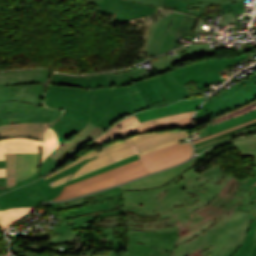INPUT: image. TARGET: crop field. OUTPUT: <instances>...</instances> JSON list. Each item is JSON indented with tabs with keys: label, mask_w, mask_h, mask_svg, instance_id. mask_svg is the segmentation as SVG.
Instances as JSON below:
<instances>
[{
	"label": "crop field",
	"mask_w": 256,
	"mask_h": 256,
	"mask_svg": "<svg viewBox=\"0 0 256 256\" xmlns=\"http://www.w3.org/2000/svg\"><path fill=\"white\" fill-rule=\"evenodd\" d=\"M221 167L216 161L198 174L193 166L160 188L123 192L129 234L178 230L172 256H232L256 218L249 178L240 182Z\"/></svg>",
	"instance_id": "crop-field-1"
},
{
	"label": "crop field",
	"mask_w": 256,
	"mask_h": 256,
	"mask_svg": "<svg viewBox=\"0 0 256 256\" xmlns=\"http://www.w3.org/2000/svg\"><path fill=\"white\" fill-rule=\"evenodd\" d=\"M51 78L44 96L46 106L76 108L91 116L83 130L49 155L60 164L115 122L136 111L127 86L85 90L51 85Z\"/></svg>",
	"instance_id": "crop-field-2"
},
{
	"label": "crop field",
	"mask_w": 256,
	"mask_h": 256,
	"mask_svg": "<svg viewBox=\"0 0 256 256\" xmlns=\"http://www.w3.org/2000/svg\"><path fill=\"white\" fill-rule=\"evenodd\" d=\"M49 70L0 73V113L61 114L44 107L42 96Z\"/></svg>",
	"instance_id": "crop-field-3"
},
{
	"label": "crop field",
	"mask_w": 256,
	"mask_h": 256,
	"mask_svg": "<svg viewBox=\"0 0 256 256\" xmlns=\"http://www.w3.org/2000/svg\"><path fill=\"white\" fill-rule=\"evenodd\" d=\"M188 137V130L175 132H160V133H146L141 135L131 136L127 139L116 141L106 146L100 147L96 150L90 151L67 166L57 170L56 172L44 177L47 178L57 172H60L73 164L95 155L98 157L86 163L71 179L86 174L95 169L101 168L126 156L136 154H145L165 146L178 142L177 139ZM70 179V180H71Z\"/></svg>",
	"instance_id": "crop-field-4"
},
{
	"label": "crop field",
	"mask_w": 256,
	"mask_h": 256,
	"mask_svg": "<svg viewBox=\"0 0 256 256\" xmlns=\"http://www.w3.org/2000/svg\"><path fill=\"white\" fill-rule=\"evenodd\" d=\"M145 174H149V171L143 165L140 159H138L133 162L116 167L103 174L91 177L89 179L71 185H67L65 186L61 195L56 197L54 200H64L91 191L107 188Z\"/></svg>",
	"instance_id": "crop-field-5"
},
{
	"label": "crop field",
	"mask_w": 256,
	"mask_h": 256,
	"mask_svg": "<svg viewBox=\"0 0 256 256\" xmlns=\"http://www.w3.org/2000/svg\"><path fill=\"white\" fill-rule=\"evenodd\" d=\"M249 57L246 53L223 59H207L192 65L183 66L169 71L179 85L194 81L199 90L216 82L226 80L217 72Z\"/></svg>",
	"instance_id": "crop-field-6"
},
{
	"label": "crop field",
	"mask_w": 256,
	"mask_h": 256,
	"mask_svg": "<svg viewBox=\"0 0 256 256\" xmlns=\"http://www.w3.org/2000/svg\"><path fill=\"white\" fill-rule=\"evenodd\" d=\"M177 231L167 233L138 232L130 234L127 256H170Z\"/></svg>",
	"instance_id": "crop-field-7"
},
{
	"label": "crop field",
	"mask_w": 256,
	"mask_h": 256,
	"mask_svg": "<svg viewBox=\"0 0 256 256\" xmlns=\"http://www.w3.org/2000/svg\"><path fill=\"white\" fill-rule=\"evenodd\" d=\"M193 150L190 143L179 145L173 144L163 149L141 155V161L150 173L166 167L182 163L190 158Z\"/></svg>",
	"instance_id": "crop-field-8"
},
{
	"label": "crop field",
	"mask_w": 256,
	"mask_h": 256,
	"mask_svg": "<svg viewBox=\"0 0 256 256\" xmlns=\"http://www.w3.org/2000/svg\"><path fill=\"white\" fill-rule=\"evenodd\" d=\"M97 5L98 10L105 14H115L113 21L135 19L153 14L157 8L148 7L126 0H88Z\"/></svg>",
	"instance_id": "crop-field-9"
},
{
	"label": "crop field",
	"mask_w": 256,
	"mask_h": 256,
	"mask_svg": "<svg viewBox=\"0 0 256 256\" xmlns=\"http://www.w3.org/2000/svg\"><path fill=\"white\" fill-rule=\"evenodd\" d=\"M43 201H47V198L34 182L0 195V210H6L10 207H35Z\"/></svg>",
	"instance_id": "crop-field-10"
},
{
	"label": "crop field",
	"mask_w": 256,
	"mask_h": 256,
	"mask_svg": "<svg viewBox=\"0 0 256 256\" xmlns=\"http://www.w3.org/2000/svg\"><path fill=\"white\" fill-rule=\"evenodd\" d=\"M5 153L10 152H38V146L42 147L41 164L44 159L59 146L55 132L49 128L44 142L28 140L23 138H11L1 140Z\"/></svg>",
	"instance_id": "crop-field-11"
},
{
	"label": "crop field",
	"mask_w": 256,
	"mask_h": 256,
	"mask_svg": "<svg viewBox=\"0 0 256 256\" xmlns=\"http://www.w3.org/2000/svg\"><path fill=\"white\" fill-rule=\"evenodd\" d=\"M194 112H188V113H182V114H176L171 115L147 122L140 123L138 119L135 117V115H132L125 120L117 123L112 128H110L108 131L103 133L101 136H99L97 139H95L93 142L97 144L105 143L113 138L120 137L124 134L130 133L132 131L144 128L148 125L164 122V121H171V120H177L185 117L192 116Z\"/></svg>",
	"instance_id": "crop-field-12"
},
{
	"label": "crop field",
	"mask_w": 256,
	"mask_h": 256,
	"mask_svg": "<svg viewBox=\"0 0 256 256\" xmlns=\"http://www.w3.org/2000/svg\"><path fill=\"white\" fill-rule=\"evenodd\" d=\"M63 115L51 127L57 134L60 144L85 127L89 115L76 109L64 108Z\"/></svg>",
	"instance_id": "crop-field-13"
},
{
	"label": "crop field",
	"mask_w": 256,
	"mask_h": 256,
	"mask_svg": "<svg viewBox=\"0 0 256 256\" xmlns=\"http://www.w3.org/2000/svg\"><path fill=\"white\" fill-rule=\"evenodd\" d=\"M193 166V160L178 166L158 173L156 175L139 179L135 182L122 185L123 191L139 190V189H154L177 177L179 174Z\"/></svg>",
	"instance_id": "crop-field-14"
},
{
	"label": "crop field",
	"mask_w": 256,
	"mask_h": 256,
	"mask_svg": "<svg viewBox=\"0 0 256 256\" xmlns=\"http://www.w3.org/2000/svg\"><path fill=\"white\" fill-rule=\"evenodd\" d=\"M135 85L149 109L169 104L162 95L167 92V89L156 75L147 80L136 82Z\"/></svg>",
	"instance_id": "crop-field-15"
},
{
	"label": "crop field",
	"mask_w": 256,
	"mask_h": 256,
	"mask_svg": "<svg viewBox=\"0 0 256 256\" xmlns=\"http://www.w3.org/2000/svg\"><path fill=\"white\" fill-rule=\"evenodd\" d=\"M254 99H256V85L243 91L237 96L219 104L211 111L194 120L193 127L199 123L215 118L221 114L230 112Z\"/></svg>",
	"instance_id": "crop-field-16"
},
{
	"label": "crop field",
	"mask_w": 256,
	"mask_h": 256,
	"mask_svg": "<svg viewBox=\"0 0 256 256\" xmlns=\"http://www.w3.org/2000/svg\"><path fill=\"white\" fill-rule=\"evenodd\" d=\"M206 97L193 99V100H182L180 102H177L168 106L137 113L135 115L140 120V122H142V121H146V120H150V119H154V118H158V117H162L170 114L194 111Z\"/></svg>",
	"instance_id": "crop-field-17"
},
{
	"label": "crop field",
	"mask_w": 256,
	"mask_h": 256,
	"mask_svg": "<svg viewBox=\"0 0 256 256\" xmlns=\"http://www.w3.org/2000/svg\"><path fill=\"white\" fill-rule=\"evenodd\" d=\"M52 123H14L0 126V137L21 135L43 139Z\"/></svg>",
	"instance_id": "crop-field-18"
},
{
	"label": "crop field",
	"mask_w": 256,
	"mask_h": 256,
	"mask_svg": "<svg viewBox=\"0 0 256 256\" xmlns=\"http://www.w3.org/2000/svg\"><path fill=\"white\" fill-rule=\"evenodd\" d=\"M52 84L85 88V89L110 87L107 74L101 75V76L84 77V78H76V77H69V76H54L52 78Z\"/></svg>",
	"instance_id": "crop-field-19"
},
{
	"label": "crop field",
	"mask_w": 256,
	"mask_h": 256,
	"mask_svg": "<svg viewBox=\"0 0 256 256\" xmlns=\"http://www.w3.org/2000/svg\"><path fill=\"white\" fill-rule=\"evenodd\" d=\"M240 156H255L256 159V136L235 139L232 141ZM254 177L250 178L251 200L253 212L256 216V166L253 170Z\"/></svg>",
	"instance_id": "crop-field-20"
},
{
	"label": "crop field",
	"mask_w": 256,
	"mask_h": 256,
	"mask_svg": "<svg viewBox=\"0 0 256 256\" xmlns=\"http://www.w3.org/2000/svg\"><path fill=\"white\" fill-rule=\"evenodd\" d=\"M256 84V73L246 80L238 83L237 85L225 90L224 92L220 93L219 95L215 96L214 98L208 100L201 110L198 112L196 118L201 116L202 114L206 113L208 110L215 107L217 104L235 96L236 94L242 92L243 90L251 87L252 85Z\"/></svg>",
	"instance_id": "crop-field-21"
},
{
	"label": "crop field",
	"mask_w": 256,
	"mask_h": 256,
	"mask_svg": "<svg viewBox=\"0 0 256 256\" xmlns=\"http://www.w3.org/2000/svg\"><path fill=\"white\" fill-rule=\"evenodd\" d=\"M38 159L39 153H16V182L37 173Z\"/></svg>",
	"instance_id": "crop-field-22"
},
{
	"label": "crop field",
	"mask_w": 256,
	"mask_h": 256,
	"mask_svg": "<svg viewBox=\"0 0 256 256\" xmlns=\"http://www.w3.org/2000/svg\"><path fill=\"white\" fill-rule=\"evenodd\" d=\"M178 55L170 58L164 59L163 57L150 62L153 69L157 72V74L167 72L171 70L170 67L176 61L199 56L193 45L186 46L180 49L175 50Z\"/></svg>",
	"instance_id": "crop-field-23"
},
{
	"label": "crop field",
	"mask_w": 256,
	"mask_h": 256,
	"mask_svg": "<svg viewBox=\"0 0 256 256\" xmlns=\"http://www.w3.org/2000/svg\"><path fill=\"white\" fill-rule=\"evenodd\" d=\"M122 207L123 205H122V198H121L118 200H111L107 202L85 206L83 208L68 211V212H62L60 213V215L62 216L63 219H65V218L78 217V216H83V215L92 214V213L105 212V211L118 209Z\"/></svg>",
	"instance_id": "crop-field-24"
},
{
	"label": "crop field",
	"mask_w": 256,
	"mask_h": 256,
	"mask_svg": "<svg viewBox=\"0 0 256 256\" xmlns=\"http://www.w3.org/2000/svg\"><path fill=\"white\" fill-rule=\"evenodd\" d=\"M120 195H122L121 188L117 187L114 189H110V190H107V191H104L101 193H97V194H93L90 196H86L83 198H79V199H75V200H71V201H67V202H62V203H47L45 205H47L55 210H59V209H63V208L79 206L81 204H84V203L90 202V201L102 200L105 198H111V197L120 196Z\"/></svg>",
	"instance_id": "crop-field-25"
},
{
	"label": "crop field",
	"mask_w": 256,
	"mask_h": 256,
	"mask_svg": "<svg viewBox=\"0 0 256 256\" xmlns=\"http://www.w3.org/2000/svg\"><path fill=\"white\" fill-rule=\"evenodd\" d=\"M59 115H32L22 113L0 114V125L13 122H54Z\"/></svg>",
	"instance_id": "crop-field-26"
},
{
	"label": "crop field",
	"mask_w": 256,
	"mask_h": 256,
	"mask_svg": "<svg viewBox=\"0 0 256 256\" xmlns=\"http://www.w3.org/2000/svg\"><path fill=\"white\" fill-rule=\"evenodd\" d=\"M158 77L169 91L168 93L164 94L169 103L181 100L189 95L185 86H179L169 72L160 74Z\"/></svg>",
	"instance_id": "crop-field-27"
},
{
	"label": "crop field",
	"mask_w": 256,
	"mask_h": 256,
	"mask_svg": "<svg viewBox=\"0 0 256 256\" xmlns=\"http://www.w3.org/2000/svg\"><path fill=\"white\" fill-rule=\"evenodd\" d=\"M112 86H123L135 83V81L147 79L150 74L145 68L118 74H109Z\"/></svg>",
	"instance_id": "crop-field-28"
},
{
	"label": "crop field",
	"mask_w": 256,
	"mask_h": 256,
	"mask_svg": "<svg viewBox=\"0 0 256 256\" xmlns=\"http://www.w3.org/2000/svg\"><path fill=\"white\" fill-rule=\"evenodd\" d=\"M172 15L180 16V17L183 16V14L174 13V14H171L169 16H166V17L160 19V21H159V23H158V25L155 29V32H154L153 38L151 40V43L149 45V48L147 50L148 56L149 55H153V56L156 55L157 50H158V48H159V46L162 42V39L164 37L165 30H166L167 26L170 23Z\"/></svg>",
	"instance_id": "crop-field-29"
},
{
	"label": "crop field",
	"mask_w": 256,
	"mask_h": 256,
	"mask_svg": "<svg viewBox=\"0 0 256 256\" xmlns=\"http://www.w3.org/2000/svg\"><path fill=\"white\" fill-rule=\"evenodd\" d=\"M33 208H10L6 211H0L1 230L6 229L13 223L26 216Z\"/></svg>",
	"instance_id": "crop-field-30"
},
{
	"label": "crop field",
	"mask_w": 256,
	"mask_h": 256,
	"mask_svg": "<svg viewBox=\"0 0 256 256\" xmlns=\"http://www.w3.org/2000/svg\"><path fill=\"white\" fill-rule=\"evenodd\" d=\"M190 122H191V117L185 118L182 120H178V121L165 122V123H161V124L148 126L144 129L127 134V136L140 134V133H146V132H152V131H157V130H164L167 128H178V127L190 126Z\"/></svg>",
	"instance_id": "crop-field-31"
},
{
	"label": "crop field",
	"mask_w": 256,
	"mask_h": 256,
	"mask_svg": "<svg viewBox=\"0 0 256 256\" xmlns=\"http://www.w3.org/2000/svg\"><path fill=\"white\" fill-rule=\"evenodd\" d=\"M256 118V110L251 111L247 114L240 115L223 122L217 123L216 126L220 129V131L237 126L239 124L245 123L247 121L253 120Z\"/></svg>",
	"instance_id": "crop-field-32"
},
{
	"label": "crop field",
	"mask_w": 256,
	"mask_h": 256,
	"mask_svg": "<svg viewBox=\"0 0 256 256\" xmlns=\"http://www.w3.org/2000/svg\"><path fill=\"white\" fill-rule=\"evenodd\" d=\"M256 232V221H253L249 229V234L243 245L234 253L233 256H249L254 244V236Z\"/></svg>",
	"instance_id": "crop-field-33"
},
{
	"label": "crop field",
	"mask_w": 256,
	"mask_h": 256,
	"mask_svg": "<svg viewBox=\"0 0 256 256\" xmlns=\"http://www.w3.org/2000/svg\"><path fill=\"white\" fill-rule=\"evenodd\" d=\"M138 158H139V155H138V154L133 155V156L126 157V158H124V159H122V160H119V161H117V162H115V163H112V164H110V165H108V166H105V167H103V168H101V169H98V170H96V171L90 172V173H88V174H86V175H83V176H81V177H78V178H76V179H74V180H71V181H69L67 184L74 183V182H77V181L86 179V178H88V177H91V176H94V175L103 173V172H105V171H107V170H109V169H112V168H114V167H116V166H119V165H122V164H124V163L133 161V160L138 159Z\"/></svg>",
	"instance_id": "crop-field-34"
},
{
	"label": "crop field",
	"mask_w": 256,
	"mask_h": 256,
	"mask_svg": "<svg viewBox=\"0 0 256 256\" xmlns=\"http://www.w3.org/2000/svg\"><path fill=\"white\" fill-rule=\"evenodd\" d=\"M7 187L15 185V153L5 154Z\"/></svg>",
	"instance_id": "crop-field-35"
},
{
	"label": "crop field",
	"mask_w": 256,
	"mask_h": 256,
	"mask_svg": "<svg viewBox=\"0 0 256 256\" xmlns=\"http://www.w3.org/2000/svg\"><path fill=\"white\" fill-rule=\"evenodd\" d=\"M164 7L177 8L176 11L193 14L195 9H187V0H164Z\"/></svg>",
	"instance_id": "crop-field-36"
},
{
	"label": "crop field",
	"mask_w": 256,
	"mask_h": 256,
	"mask_svg": "<svg viewBox=\"0 0 256 256\" xmlns=\"http://www.w3.org/2000/svg\"><path fill=\"white\" fill-rule=\"evenodd\" d=\"M36 182L39 185V187L41 188V190L44 192V194L46 195L48 200H51L52 198L57 196V194L59 193V191L62 189V187L65 184L64 183L62 185L52 188L43 178H41L40 180H38Z\"/></svg>",
	"instance_id": "crop-field-37"
},
{
	"label": "crop field",
	"mask_w": 256,
	"mask_h": 256,
	"mask_svg": "<svg viewBox=\"0 0 256 256\" xmlns=\"http://www.w3.org/2000/svg\"><path fill=\"white\" fill-rule=\"evenodd\" d=\"M96 157H97V156H96ZM94 158H95V157H94ZM92 159H93V158H92ZM90 160H91V159H90ZM90 160L86 159V160H84V161H81V162L75 164L74 166H72V167H70V168H68V169H66V170H64V171H62V172H60V173H58V174H56V175H54V176L48 178V179H46V181H47L48 183H50V182H52V181H54V180H56V179H58V178L64 177V176L69 175V174H71V173H73V172L76 173L86 162H88V161H90Z\"/></svg>",
	"instance_id": "crop-field-38"
},
{
	"label": "crop field",
	"mask_w": 256,
	"mask_h": 256,
	"mask_svg": "<svg viewBox=\"0 0 256 256\" xmlns=\"http://www.w3.org/2000/svg\"><path fill=\"white\" fill-rule=\"evenodd\" d=\"M219 11L232 14L244 13V1L221 5Z\"/></svg>",
	"instance_id": "crop-field-39"
},
{
	"label": "crop field",
	"mask_w": 256,
	"mask_h": 256,
	"mask_svg": "<svg viewBox=\"0 0 256 256\" xmlns=\"http://www.w3.org/2000/svg\"><path fill=\"white\" fill-rule=\"evenodd\" d=\"M41 176L38 175V173L30 178H28L27 180L23 181V182H19V183H16V186L14 187H10V188H2L0 189V194H2L3 192H7V191H10L12 190V188H17V187H21V185H26V184H29L35 180H37L38 178H40ZM0 186H6V183H0Z\"/></svg>",
	"instance_id": "crop-field-40"
},
{
	"label": "crop field",
	"mask_w": 256,
	"mask_h": 256,
	"mask_svg": "<svg viewBox=\"0 0 256 256\" xmlns=\"http://www.w3.org/2000/svg\"><path fill=\"white\" fill-rule=\"evenodd\" d=\"M254 125H256V122L251 123V124L246 125V126H243V127H241V128L235 129V130H233V131L227 132V133H225V134H222V135H219V136H216V137H213V138L204 140V141H202V142H200V143L195 144V147H197V146H199V145H201V144H204V143H206V142L212 141V140H214V139H217V138H220V137H223V136H227V135L236 133V132H238V131L244 130V129L249 128V127H252V126H254Z\"/></svg>",
	"instance_id": "crop-field-41"
},
{
	"label": "crop field",
	"mask_w": 256,
	"mask_h": 256,
	"mask_svg": "<svg viewBox=\"0 0 256 256\" xmlns=\"http://www.w3.org/2000/svg\"><path fill=\"white\" fill-rule=\"evenodd\" d=\"M255 129H256V128H253V129L248 130V131H245V132H243V133H246V132H249V131H252V130H255ZM243 133H240V134H243ZM240 134H237V135H240ZM234 136H236V135H234ZM234 136H232V137H234ZM232 137H229V138H226V139H224V140H221V141L215 142V143H213V144H210V145L204 146V147H202V148H199V149H197L196 153L198 154V153H200V152L206 150L207 148H209V147H211V146H213V145H215V144H217V143H220V142H223V141H225V140H228V139H230V138H232Z\"/></svg>",
	"instance_id": "crop-field-42"
},
{
	"label": "crop field",
	"mask_w": 256,
	"mask_h": 256,
	"mask_svg": "<svg viewBox=\"0 0 256 256\" xmlns=\"http://www.w3.org/2000/svg\"><path fill=\"white\" fill-rule=\"evenodd\" d=\"M234 1H239V0H228V1L211 3V4L191 5V6H189V8L209 7V6H213V5L223 4V3H227V2H234Z\"/></svg>",
	"instance_id": "crop-field-43"
},
{
	"label": "crop field",
	"mask_w": 256,
	"mask_h": 256,
	"mask_svg": "<svg viewBox=\"0 0 256 256\" xmlns=\"http://www.w3.org/2000/svg\"><path fill=\"white\" fill-rule=\"evenodd\" d=\"M135 1L151 4L157 7H163V0H135Z\"/></svg>",
	"instance_id": "crop-field-44"
},
{
	"label": "crop field",
	"mask_w": 256,
	"mask_h": 256,
	"mask_svg": "<svg viewBox=\"0 0 256 256\" xmlns=\"http://www.w3.org/2000/svg\"><path fill=\"white\" fill-rule=\"evenodd\" d=\"M254 121H256V119H255V120H253V121L247 122V123H245V124L239 125V126H237V127H234V128H231V129H228V130H225V131H222V132H219V133L213 134V135H211V136H209V137H206V138H202V139L196 140V141H194L193 143L195 144V143H197V142H199V141H202V140H204V139H207V138H210V137H213V136H216V135H219V134L225 133V132H227V131L233 130V129H235V128L241 127V126H243V125L249 124V123L254 122Z\"/></svg>",
	"instance_id": "crop-field-45"
},
{
	"label": "crop field",
	"mask_w": 256,
	"mask_h": 256,
	"mask_svg": "<svg viewBox=\"0 0 256 256\" xmlns=\"http://www.w3.org/2000/svg\"><path fill=\"white\" fill-rule=\"evenodd\" d=\"M216 1H222V0H188L189 5L200 4V3H210V2H216Z\"/></svg>",
	"instance_id": "crop-field-46"
},
{
	"label": "crop field",
	"mask_w": 256,
	"mask_h": 256,
	"mask_svg": "<svg viewBox=\"0 0 256 256\" xmlns=\"http://www.w3.org/2000/svg\"><path fill=\"white\" fill-rule=\"evenodd\" d=\"M70 176H71V175L66 176V177H64V178H61V179H59V180H57V181H55V182H53V183H50V185H51L52 187H54V186H56V185H59V184L65 182V181H67Z\"/></svg>",
	"instance_id": "crop-field-47"
},
{
	"label": "crop field",
	"mask_w": 256,
	"mask_h": 256,
	"mask_svg": "<svg viewBox=\"0 0 256 256\" xmlns=\"http://www.w3.org/2000/svg\"><path fill=\"white\" fill-rule=\"evenodd\" d=\"M0 177H6L5 168L0 169Z\"/></svg>",
	"instance_id": "crop-field-48"
},
{
	"label": "crop field",
	"mask_w": 256,
	"mask_h": 256,
	"mask_svg": "<svg viewBox=\"0 0 256 256\" xmlns=\"http://www.w3.org/2000/svg\"><path fill=\"white\" fill-rule=\"evenodd\" d=\"M248 47L242 49L243 52H246V51H249L251 49H253V46L250 44V45H247Z\"/></svg>",
	"instance_id": "crop-field-49"
},
{
	"label": "crop field",
	"mask_w": 256,
	"mask_h": 256,
	"mask_svg": "<svg viewBox=\"0 0 256 256\" xmlns=\"http://www.w3.org/2000/svg\"><path fill=\"white\" fill-rule=\"evenodd\" d=\"M2 159H5L3 149L0 150V160H2Z\"/></svg>",
	"instance_id": "crop-field-50"
},
{
	"label": "crop field",
	"mask_w": 256,
	"mask_h": 256,
	"mask_svg": "<svg viewBox=\"0 0 256 256\" xmlns=\"http://www.w3.org/2000/svg\"><path fill=\"white\" fill-rule=\"evenodd\" d=\"M5 167V160L0 161V168Z\"/></svg>",
	"instance_id": "crop-field-51"
},
{
	"label": "crop field",
	"mask_w": 256,
	"mask_h": 256,
	"mask_svg": "<svg viewBox=\"0 0 256 256\" xmlns=\"http://www.w3.org/2000/svg\"><path fill=\"white\" fill-rule=\"evenodd\" d=\"M251 256H256V244H255V246H254V250H253Z\"/></svg>",
	"instance_id": "crop-field-52"
},
{
	"label": "crop field",
	"mask_w": 256,
	"mask_h": 256,
	"mask_svg": "<svg viewBox=\"0 0 256 256\" xmlns=\"http://www.w3.org/2000/svg\"><path fill=\"white\" fill-rule=\"evenodd\" d=\"M214 128H216V126H215V125L210 126V127H208L207 129L210 131V130H212V129H214Z\"/></svg>",
	"instance_id": "crop-field-53"
},
{
	"label": "crop field",
	"mask_w": 256,
	"mask_h": 256,
	"mask_svg": "<svg viewBox=\"0 0 256 256\" xmlns=\"http://www.w3.org/2000/svg\"><path fill=\"white\" fill-rule=\"evenodd\" d=\"M216 132H219L218 128L213 130V131H211V134L216 133Z\"/></svg>",
	"instance_id": "crop-field-54"
},
{
	"label": "crop field",
	"mask_w": 256,
	"mask_h": 256,
	"mask_svg": "<svg viewBox=\"0 0 256 256\" xmlns=\"http://www.w3.org/2000/svg\"><path fill=\"white\" fill-rule=\"evenodd\" d=\"M0 181H6V178H0Z\"/></svg>",
	"instance_id": "crop-field-55"
},
{
	"label": "crop field",
	"mask_w": 256,
	"mask_h": 256,
	"mask_svg": "<svg viewBox=\"0 0 256 256\" xmlns=\"http://www.w3.org/2000/svg\"><path fill=\"white\" fill-rule=\"evenodd\" d=\"M1 148H3V147H2V143H1V141H0V149H1Z\"/></svg>",
	"instance_id": "crop-field-56"
},
{
	"label": "crop field",
	"mask_w": 256,
	"mask_h": 256,
	"mask_svg": "<svg viewBox=\"0 0 256 256\" xmlns=\"http://www.w3.org/2000/svg\"><path fill=\"white\" fill-rule=\"evenodd\" d=\"M5 256H6V254H5Z\"/></svg>",
	"instance_id": "crop-field-57"
}]
</instances>
